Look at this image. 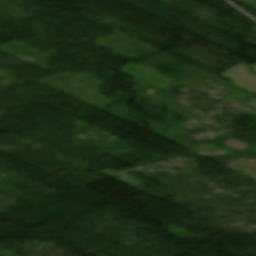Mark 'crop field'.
<instances>
[{"label": "crop field", "instance_id": "1", "mask_svg": "<svg viewBox=\"0 0 256 256\" xmlns=\"http://www.w3.org/2000/svg\"><path fill=\"white\" fill-rule=\"evenodd\" d=\"M221 75L234 82L233 85L256 94V76L250 72V68L246 64L241 63Z\"/></svg>", "mask_w": 256, "mask_h": 256}]
</instances>
